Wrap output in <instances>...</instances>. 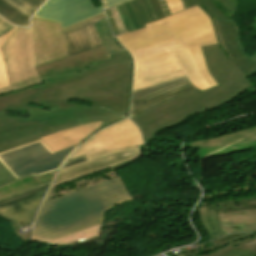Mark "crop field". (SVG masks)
Instances as JSON below:
<instances>
[{"mask_svg": "<svg viewBox=\"0 0 256 256\" xmlns=\"http://www.w3.org/2000/svg\"><path fill=\"white\" fill-rule=\"evenodd\" d=\"M42 85L0 96V112L37 109L30 103L52 109L105 106L128 113L132 61L127 52L94 62L87 70L41 78Z\"/></svg>", "mask_w": 256, "mask_h": 256, "instance_id": "crop-field-1", "label": "crop field"}, {"mask_svg": "<svg viewBox=\"0 0 256 256\" xmlns=\"http://www.w3.org/2000/svg\"><path fill=\"white\" fill-rule=\"evenodd\" d=\"M146 26L117 36L135 61L134 81L179 70L171 51L190 48L204 78L211 87L217 85L207 70L200 46L218 42L210 18L199 6Z\"/></svg>", "mask_w": 256, "mask_h": 256, "instance_id": "crop-field-2", "label": "crop field"}, {"mask_svg": "<svg viewBox=\"0 0 256 256\" xmlns=\"http://www.w3.org/2000/svg\"><path fill=\"white\" fill-rule=\"evenodd\" d=\"M127 200L131 197L118 177L44 202L32 240L67 245L98 237L104 211Z\"/></svg>", "mask_w": 256, "mask_h": 256, "instance_id": "crop-field-3", "label": "crop field"}, {"mask_svg": "<svg viewBox=\"0 0 256 256\" xmlns=\"http://www.w3.org/2000/svg\"><path fill=\"white\" fill-rule=\"evenodd\" d=\"M201 48L208 69L219 85L174 98L132 117L140 126L145 141L151 140L159 129L227 103L253 86L231 61L226 60L218 44Z\"/></svg>", "mask_w": 256, "mask_h": 256, "instance_id": "crop-field-4", "label": "crop field"}, {"mask_svg": "<svg viewBox=\"0 0 256 256\" xmlns=\"http://www.w3.org/2000/svg\"><path fill=\"white\" fill-rule=\"evenodd\" d=\"M142 144L141 133L131 119L106 128L83 143L70 158L85 154L88 161L60 170L51 187L143 156L139 148Z\"/></svg>", "mask_w": 256, "mask_h": 256, "instance_id": "crop-field-5", "label": "crop field"}, {"mask_svg": "<svg viewBox=\"0 0 256 256\" xmlns=\"http://www.w3.org/2000/svg\"><path fill=\"white\" fill-rule=\"evenodd\" d=\"M91 116L107 117L102 128L123 118V115L105 107L49 112L29 110L30 119L6 116V112L0 113V153L39 140L38 137L56 130L81 125L80 118Z\"/></svg>", "mask_w": 256, "mask_h": 256, "instance_id": "crop-field-6", "label": "crop field"}, {"mask_svg": "<svg viewBox=\"0 0 256 256\" xmlns=\"http://www.w3.org/2000/svg\"><path fill=\"white\" fill-rule=\"evenodd\" d=\"M77 147L53 154L39 140L0 154V161L16 179L27 174L38 176L60 169Z\"/></svg>", "mask_w": 256, "mask_h": 256, "instance_id": "crop-field-7", "label": "crop field"}, {"mask_svg": "<svg viewBox=\"0 0 256 256\" xmlns=\"http://www.w3.org/2000/svg\"><path fill=\"white\" fill-rule=\"evenodd\" d=\"M0 50L10 86L40 78L35 69L30 28L16 27Z\"/></svg>", "mask_w": 256, "mask_h": 256, "instance_id": "crop-field-8", "label": "crop field"}, {"mask_svg": "<svg viewBox=\"0 0 256 256\" xmlns=\"http://www.w3.org/2000/svg\"><path fill=\"white\" fill-rule=\"evenodd\" d=\"M104 13H100L73 26L60 29V24L32 18L31 31L36 67L67 56L64 33Z\"/></svg>", "mask_w": 256, "mask_h": 256, "instance_id": "crop-field-9", "label": "crop field"}, {"mask_svg": "<svg viewBox=\"0 0 256 256\" xmlns=\"http://www.w3.org/2000/svg\"><path fill=\"white\" fill-rule=\"evenodd\" d=\"M207 208L209 212L217 211L222 229L221 236L232 232L256 231V197L235 202L231 199L224 200L207 205Z\"/></svg>", "mask_w": 256, "mask_h": 256, "instance_id": "crop-field-10", "label": "crop field"}, {"mask_svg": "<svg viewBox=\"0 0 256 256\" xmlns=\"http://www.w3.org/2000/svg\"><path fill=\"white\" fill-rule=\"evenodd\" d=\"M51 182L0 199V217L13 229L32 222Z\"/></svg>", "mask_w": 256, "mask_h": 256, "instance_id": "crop-field-11", "label": "crop field"}, {"mask_svg": "<svg viewBox=\"0 0 256 256\" xmlns=\"http://www.w3.org/2000/svg\"><path fill=\"white\" fill-rule=\"evenodd\" d=\"M197 90L186 76L132 92L130 116L158 103Z\"/></svg>", "mask_w": 256, "mask_h": 256, "instance_id": "crop-field-12", "label": "crop field"}, {"mask_svg": "<svg viewBox=\"0 0 256 256\" xmlns=\"http://www.w3.org/2000/svg\"><path fill=\"white\" fill-rule=\"evenodd\" d=\"M102 11L91 0H49L34 17L61 23L63 29Z\"/></svg>", "mask_w": 256, "mask_h": 256, "instance_id": "crop-field-13", "label": "crop field"}, {"mask_svg": "<svg viewBox=\"0 0 256 256\" xmlns=\"http://www.w3.org/2000/svg\"><path fill=\"white\" fill-rule=\"evenodd\" d=\"M173 54L181 70L135 81L133 83V90H137L150 85L161 83V82H164L173 78H177L183 75H186L200 91L210 88L209 84L206 82V80L203 78V76L199 72L189 49L175 51L173 52Z\"/></svg>", "mask_w": 256, "mask_h": 256, "instance_id": "crop-field-14", "label": "crop field"}, {"mask_svg": "<svg viewBox=\"0 0 256 256\" xmlns=\"http://www.w3.org/2000/svg\"><path fill=\"white\" fill-rule=\"evenodd\" d=\"M110 58L104 45L84 51L52 63L37 67V70L41 77L61 74V73H70V72H79L85 70L84 67L89 66L91 62Z\"/></svg>", "mask_w": 256, "mask_h": 256, "instance_id": "crop-field-15", "label": "crop field"}, {"mask_svg": "<svg viewBox=\"0 0 256 256\" xmlns=\"http://www.w3.org/2000/svg\"><path fill=\"white\" fill-rule=\"evenodd\" d=\"M100 124L101 122L61 130L40 139L55 153L79 145L80 141L99 128Z\"/></svg>", "mask_w": 256, "mask_h": 256, "instance_id": "crop-field-16", "label": "crop field"}, {"mask_svg": "<svg viewBox=\"0 0 256 256\" xmlns=\"http://www.w3.org/2000/svg\"><path fill=\"white\" fill-rule=\"evenodd\" d=\"M104 17L103 15L65 34L68 56L103 45L93 23Z\"/></svg>", "mask_w": 256, "mask_h": 256, "instance_id": "crop-field-17", "label": "crop field"}, {"mask_svg": "<svg viewBox=\"0 0 256 256\" xmlns=\"http://www.w3.org/2000/svg\"><path fill=\"white\" fill-rule=\"evenodd\" d=\"M45 0H0V15L15 25L29 26V19Z\"/></svg>", "mask_w": 256, "mask_h": 256, "instance_id": "crop-field-18", "label": "crop field"}, {"mask_svg": "<svg viewBox=\"0 0 256 256\" xmlns=\"http://www.w3.org/2000/svg\"><path fill=\"white\" fill-rule=\"evenodd\" d=\"M202 256H256V235L241 234L205 250Z\"/></svg>", "mask_w": 256, "mask_h": 256, "instance_id": "crop-field-19", "label": "crop field"}, {"mask_svg": "<svg viewBox=\"0 0 256 256\" xmlns=\"http://www.w3.org/2000/svg\"><path fill=\"white\" fill-rule=\"evenodd\" d=\"M123 166L122 164L107 168L105 170L93 173L91 175H88L83 178H79L67 183H64L60 186L55 187V194L53 197L50 198L54 199L78 190H81L83 188L116 178L117 175L114 171V169Z\"/></svg>", "mask_w": 256, "mask_h": 256, "instance_id": "crop-field-20", "label": "crop field"}, {"mask_svg": "<svg viewBox=\"0 0 256 256\" xmlns=\"http://www.w3.org/2000/svg\"><path fill=\"white\" fill-rule=\"evenodd\" d=\"M198 215L203 226L211 236L210 240L218 238L221 234V229L216 212L208 213L207 208L204 206L199 209Z\"/></svg>", "mask_w": 256, "mask_h": 256, "instance_id": "crop-field-21", "label": "crop field"}, {"mask_svg": "<svg viewBox=\"0 0 256 256\" xmlns=\"http://www.w3.org/2000/svg\"><path fill=\"white\" fill-rule=\"evenodd\" d=\"M95 26H96L99 34L101 35L110 55L119 53V52H124V50L121 48V46L114 39V37L109 29L106 19H103V20L95 23Z\"/></svg>", "mask_w": 256, "mask_h": 256, "instance_id": "crop-field-22", "label": "crop field"}, {"mask_svg": "<svg viewBox=\"0 0 256 256\" xmlns=\"http://www.w3.org/2000/svg\"><path fill=\"white\" fill-rule=\"evenodd\" d=\"M14 28L15 26H13L12 24L8 23L7 21L0 17V47L7 39V37L11 34V32L14 30ZM7 86L9 85L4 71L3 58L0 52V88H4Z\"/></svg>", "mask_w": 256, "mask_h": 256, "instance_id": "crop-field-23", "label": "crop field"}, {"mask_svg": "<svg viewBox=\"0 0 256 256\" xmlns=\"http://www.w3.org/2000/svg\"><path fill=\"white\" fill-rule=\"evenodd\" d=\"M254 133H256V128L247 130V131H243L240 133L232 134V135L219 137V139L223 146H228V145L233 144V143H235L243 138H246Z\"/></svg>", "mask_w": 256, "mask_h": 256, "instance_id": "crop-field-24", "label": "crop field"}, {"mask_svg": "<svg viewBox=\"0 0 256 256\" xmlns=\"http://www.w3.org/2000/svg\"><path fill=\"white\" fill-rule=\"evenodd\" d=\"M38 84H42V81L40 79L25 82V83H21V84L11 86V87H8V88L0 89V94L12 92V91H15V90H18V89H22V88H26V87H30V86H34V85H38Z\"/></svg>", "mask_w": 256, "mask_h": 256, "instance_id": "crop-field-25", "label": "crop field"}, {"mask_svg": "<svg viewBox=\"0 0 256 256\" xmlns=\"http://www.w3.org/2000/svg\"><path fill=\"white\" fill-rule=\"evenodd\" d=\"M222 146L219 139H212V140H204V141H199V142H194L191 144L190 147H195V148H210V147H219Z\"/></svg>", "mask_w": 256, "mask_h": 256, "instance_id": "crop-field-26", "label": "crop field"}, {"mask_svg": "<svg viewBox=\"0 0 256 256\" xmlns=\"http://www.w3.org/2000/svg\"><path fill=\"white\" fill-rule=\"evenodd\" d=\"M15 180L13 175L0 163V185Z\"/></svg>", "mask_w": 256, "mask_h": 256, "instance_id": "crop-field-27", "label": "crop field"}, {"mask_svg": "<svg viewBox=\"0 0 256 256\" xmlns=\"http://www.w3.org/2000/svg\"><path fill=\"white\" fill-rule=\"evenodd\" d=\"M104 119L105 118H103V117H91V118H84V119H80L81 120V122H82V124H88V123H94V122H99V121H104ZM103 123V122H102ZM102 125V124H101ZM100 128H101V126H100ZM100 128L99 129H97L96 131H94L92 134H90V135H88L84 140H82V142L83 141H85L87 138H89L91 135H93L94 133H96L98 130H100ZM81 142V143H82ZM80 143V144H81Z\"/></svg>", "mask_w": 256, "mask_h": 256, "instance_id": "crop-field-28", "label": "crop field"}, {"mask_svg": "<svg viewBox=\"0 0 256 256\" xmlns=\"http://www.w3.org/2000/svg\"><path fill=\"white\" fill-rule=\"evenodd\" d=\"M128 0H102L104 8L111 7L120 3H123ZM104 2L106 4H104Z\"/></svg>", "mask_w": 256, "mask_h": 256, "instance_id": "crop-field-29", "label": "crop field"}, {"mask_svg": "<svg viewBox=\"0 0 256 256\" xmlns=\"http://www.w3.org/2000/svg\"><path fill=\"white\" fill-rule=\"evenodd\" d=\"M84 161H86L85 156H81V157H78L76 159L68 161L66 163V165L64 164L65 166L63 168L69 167V166H72V165H75V164H78V163H81V162H84Z\"/></svg>", "mask_w": 256, "mask_h": 256, "instance_id": "crop-field-30", "label": "crop field"}, {"mask_svg": "<svg viewBox=\"0 0 256 256\" xmlns=\"http://www.w3.org/2000/svg\"><path fill=\"white\" fill-rule=\"evenodd\" d=\"M254 141H256V135H254L252 137H249V138H247V139H245L243 141H240V142H238V143H236L234 145L248 143V142H254Z\"/></svg>", "mask_w": 256, "mask_h": 256, "instance_id": "crop-field-31", "label": "crop field"}, {"mask_svg": "<svg viewBox=\"0 0 256 256\" xmlns=\"http://www.w3.org/2000/svg\"><path fill=\"white\" fill-rule=\"evenodd\" d=\"M53 194H54V188L49 190V192H48L44 201H47Z\"/></svg>", "mask_w": 256, "mask_h": 256, "instance_id": "crop-field-32", "label": "crop field"}, {"mask_svg": "<svg viewBox=\"0 0 256 256\" xmlns=\"http://www.w3.org/2000/svg\"><path fill=\"white\" fill-rule=\"evenodd\" d=\"M176 256H185V255L182 253V254H178V255H176Z\"/></svg>", "mask_w": 256, "mask_h": 256, "instance_id": "crop-field-33", "label": "crop field"}]
</instances>
